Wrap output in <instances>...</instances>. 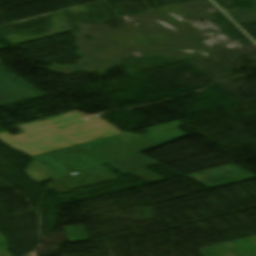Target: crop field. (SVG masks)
I'll return each mask as SVG.
<instances>
[{
	"label": "crop field",
	"mask_w": 256,
	"mask_h": 256,
	"mask_svg": "<svg viewBox=\"0 0 256 256\" xmlns=\"http://www.w3.org/2000/svg\"><path fill=\"white\" fill-rule=\"evenodd\" d=\"M47 121L61 130L76 144L119 133L114 127L104 123L94 115L86 118L74 111Z\"/></svg>",
	"instance_id": "obj_2"
},
{
	"label": "crop field",
	"mask_w": 256,
	"mask_h": 256,
	"mask_svg": "<svg viewBox=\"0 0 256 256\" xmlns=\"http://www.w3.org/2000/svg\"><path fill=\"white\" fill-rule=\"evenodd\" d=\"M17 127L25 133L12 137L5 132L0 135V140L29 155L74 145V143L45 121L19 125Z\"/></svg>",
	"instance_id": "obj_1"
},
{
	"label": "crop field",
	"mask_w": 256,
	"mask_h": 256,
	"mask_svg": "<svg viewBox=\"0 0 256 256\" xmlns=\"http://www.w3.org/2000/svg\"><path fill=\"white\" fill-rule=\"evenodd\" d=\"M11 76H15V75L6 72L5 67L0 62V79L11 77Z\"/></svg>",
	"instance_id": "obj_4"
},
{
	"label": "crop field",
	"mask_w": 256,
	"mask_h": 256,
	"mask_svg": "<svg viewBox=\"0 0 256 256\" xmlns=\"http://www.w3.org/2000/svg\"><path fill=\"white\" fill-rule=\"evenodd\" d=\"M40 95L44 94L17 76L0 80V105Z\"/></svg>",
	"instance_id": "obj_3"
}]
</instances>
